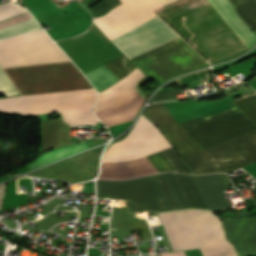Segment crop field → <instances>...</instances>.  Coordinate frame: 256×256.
Instances as JSON below:
<instances>
[{
    "mask_svg": "<svg viewBox=\"0 0 256 256\" xmlns=\"http://www.w3.org/2000/svg\"><path fill=\"white\" fill-rule=\"evenodd\" d=\"M42 152L68 144V130L71 128L62 120L42 122Z\"/></svg>",
    "mask_w": 256,
    "mask_h": 256,
    "instance_id": "cbeb9de0",
    "label": "crop field"
},
{
    "mask_svg": "<svg viewBox=\"0 0 256 256\" xmlns=\"http://www.w3.org/2000/svg\"><path fill=\"white\" fill-rule=\"evenodd\" d=\"M100 154L92 149L29 175L39 178L65 179L70 183L89 180L96 177L98 173Z\"/></svg>",
    "mask_w": 256,
    "mask_h": 256,
    "instance_id": "3316defc",
    "label": "crop field"
},
{
    "mask_svg": "<svg viewBox=\"0 0 256 256\" xmlns=\"http://www.w3.org/2000/svg\"><path fill=\"white\" fill-rule=\"evenodd\" d=\"M86 76L93 83L98 92L119 80L104 65L86 73Z\"/></svg>",
    "mask_w": 256,
    "mask_h": 256,
    "instance_id": "d9b57169",
    "label": "crop field"
},
{
    "mask_svg": "<svg viewBox=\"0 0 256 256\" xmlns=\"http://www.w3.org/2000/svg\"><path fill=\"white\" fill-rule=\"evenodd\" d=\"M178 37L158 16L111 40L128 58Z\"/></svg>",
    "mask_w": 256,
    "mask_h": 256,
    "instance_id": "5a996713",
    "label": "crop field"
},
{
    "mask_svg": "<svg viewBox=\"0 0 256 256\" xmlns=\"http://www.w3.org/2000/svg\"><path fill=\"white\" fill-rule=\"evenodd\" d=\"M142 115L161 129L180 156L200 150L188 133L171 117L164 103L146 107Z\"/></svg>",
    "mask_w": 256,
    "mask_h": 256,
    "instance_id": "28ad6ade",
    "label": "crop field"
},
{
    "mask_svg": "<svg viewBox=\"0 0 256 256\" xmlns=\"http://www.w3.org/2000/svg\"><path fill=\"white\" fill-rule=\"evenodd\" d=\"M119 1L121 5L93 21L110 40L157 16L152 10L163 6L158 0Z\"/></svg>",
    "mask_w": 256,
    "mask_h": 256,
    "instance_id": "d8731c3e",
    "label": "crop field"
},
{
    "mask_svg": "<svg viewBox=\"0 0 256 256\" xmlns=\"http://www.w3.org/2000/svg\"><path fill=\"white\" fill-rule=\"evenodd\" d=\"M209 1L231 26V28L237 33V35L242 39V41L247 45L248 48L256 42V37L235 15L233 11L234 9L232 10L228 0Z\"/></svg>",
    "mask_w": 256,
    "mask_h": 256,
    "instance_id": "22f410ed",
    "label": "crop field"
},
{
    "mask_svg": "<svg viewBox=\"0 0 256 256\" xmlns=\"http://www.w3.org/2000/svg\"><path fill=\"white\" fill-rule=\"evenodd\" d=\"M64 60L69 59L44 31L0 40L1 67ZM70 63L33 64L42 66H17L21 68H10L6 71L18 86L22 95L91 88L86 81L87 79H84V75L71 63L82 76ZM95 97L96 91L94 89L7 97L0 99V111L22 112L27 115L60 111L64 121L71 126L96 124L98 119L92 110Z\"/></svg>",
    "mask_w": 256,
    "mask_h": 256,
    "instance_id": "8a807250",
    "label": "crop field"
},
{
    "mask_svg": "<svg viewBox=\"0 0 256 256\" xmlns=\"http://www.w3.org/2000/svg\"><path fill=\"white\" fill-rule=\"evenodd\" d=\"M223 226L238 256L256 253V217H223Z\"/></svg>",
    "mask_w": 256,
    "mask_h": 256,
    "instance_id": "d1516ede",
    "label": "crop field"
},
{
    "mask_svg": "<svg viewBox=\"0 0 256 256\" xmlns=\"http://www.w3.org/2000/svg\"><path fill=\"white\" fill-rule=\"evenodd\" d=\"M147 158L158 172L191 174L173 147ZM182 158L195 174L231 172L256 161V130Z\"/></svg>",
    "mask_w": 256,
    "mask_h": 256,
    "instance_id": "f4fd0767",
    "label": "crop field"
},
{
    "mask_svg": "<svg viewBox=\"0 0 256 256\" xmlns=\"http://www.w3.org/2000/svg\"><path fill=\"white\" fill-rule=\"evenodd\" d=\"M5 184L0 185V208L2 206V201H3V196H4V192H5Z\"/></svg>",
    "mask_w": 256,
    "mask_h": 256,
    "instance_id": "00972430",
    "label": "crop field"
},
{
    "mask_svg": "<svg viewBox=\"0 0 256 256\" xmlns=\"http://www.w3.org/2000/svg\"><path fill=\"white\" fill-rule=\"evenodd\" d=\"M18 91L15 89L11 81L8 79L6 74L0 68V94L13 95L17 94Z\"/></svg>",
    "mask_w": 256,
    "mask_h": 256,
    "instance_id": "92a150f3",
    "label": "crop field"
},
{
    "mask_svg": "<svg viewBox=\"0 0 256 256\" xmlns=\"http://www.w3.org/2000/svg\"><path fill=\"white\" fill-rule=\"evenodd\" d=\"M158 215L174 250L160 256H186L184 250L195 248H200L203 256H237L211 211L182 209Z\"/></svg>",
    "mask_w": 256,
    "mask_h": 256,
    "instance_id": "412701ff",
    "label": "crop field"
},
{
    "mask_svg": "<svg viewBox=\"0 0 256 256\" xmlns=\"http://www.w3.org/2000/svg\"><path fill=\"white\" fill-rule=\"evenodd\" d=\"M230 181L224 174L189 176L163 173L126 181L97 180V197L130 199L128 211L172 210L183 207L229 208L221 190Z\"/></svg>",
    "mask_w": 256,
    "mask_h": 256,
    "instance_id": "ac0d7876",
    "label": "crop field"
},
{
    "mask_svg": "<svg viewBox=\"0 0 256 256\" xmlns=\"http://www.w3.org/2000/svg\"><path fill=\"white\" fill-rule=\"evenodd\" d=\"M247 83L250 84L256 90V76Z\"/></svg>",
    "mask_w": 256,
    "mask_h": 256,
    "instance_id": "a9b5d70f",
    "label": "crop field"
},
{
    "mask_svg": "<svg viewBox=\"0 0 256 256\" xmlns=\"http://www.w3.org/2000/svg\"><path fill=\"white\" fill-rule=\"evenodd\" d=\"M154 12L207 57L211 65L249 50L208 0H176Z\"/></svg>",
    "mask_w": 256,
    "mask_h": 256,
    "instance_id": "34b2d1b8",
    "label": "crop field"
},
{
    "mask_svg": "<svg viewBox=\"0 0 256 256\" xmlns=\"http://www.w3.org/2000/svg\"><path fill=\"white\" fill-rule=\"evenodd\" d=\"M234 103L256 123V94Z\"/></svg>",
    "mask_w": 256,
    "mask_h": 256,
    "instance_id": "bc2a9ffb",
    "label": "crop field"
},
{
    "mask_svg": "<svg viewBox=\"0 0 256 256\" xmlns=\"http://www.w3.org/2000/svg\"><path fill=\"white\" fill-rule=\"evenodd\" d=\"M144 76L137 68L113 86L99 92L95 113L107 126L133 120L143 99L136 93L137 81Z\"/></svg>",
    "mask_w": 256,
    "mask_h": 256,
    "instance_id": "e52e79f7",
    "label": "crop field"
},
{
    "mask_svg": "<svg viewBox=\"0 0 256 256\" xmlns=\"http://www.w3.org/2000/svg\"><path fill=\"white\" fill-rule=\"evenodd\" d=\"M86 148H88V145L85 142L67 145V146L52 150L48 153L41 155L35 162L27 165V167L30 170H32L34 168L43 166V165H45L49 162H52L54 160L63 158L65 156L71 155V154L79 152V151H82Z\"/></svg>",
    "mask_w": 256,
    "mask_h": 256,
    "instance_id": "5142ce71",
    "label": "crop field"
},
{
    "mask_svg": "<svg viewBox=\"0 0 256 256\" xmlns=\"http://www.w3.org/2000/svg\"><path fill=\"white\" fill-rule=\"evenodd\" d=\"M26 12L22 7H19L8 1L0 5V20L8 19L14 15Z\"/></svg>",
    "mask_w": 256,
    "mask_h": 256,
    "instance_id": "214f88e0",
    "label": "crop field"
},
{
    "mask_svg": "<svg viewBox=\"0 0 256 256\" xmlns=\"http://www.w3.org/2000/svg\"><path fill=\"white\" fill-rule=\"evenodd\" d=\"M110 71H112L119 79L137 68L127 57L121 55L112 61L104 64Z\"/></svg>",
    "mask_w": 256,
    "mask_h": 256,
    "instance_id": "4a817a6b",
    "label": "crop field"
},
{
    "mask_svg": "<svg viewBox=\"0 0 256 256\" xmlns=\"http://www.w3.org/2000/svg\"><path fill=\"white\" fill-rule=\"evenodd\" d=\"M41 27L35 21L34 18L5 27L0 29V38H5L9 36L19 35L35 30H39Z\"/></svg>",
    "mask_w": 256,
    "mask_h": 256,
    "instance_id": "733c2abd",
    "label": "crop field"
},
{
    "mask_svg": "<svg viewBox=\"0 0 256 256\" xmlns=\"http://www.w3.org/2000/svg\"><path fill=\"white\" fill-rule=\"evenodd\" d=\"M175 93H182L181 90L176 91H164V92H158L151 101L160 100V99H169V98H175Z\"/></svg>",
    "mask_w": 256,
    "mask_h": 256,
    "instance_id": "dafd665d",
    "label": "crop field"
},
{
    "mask_svg": "<svg viewBox=\"0 0 256 256\" xmlns=\"http://www.w3.org/2000/svg\"><path fill=\"white\" fill-rule=\"evenodd\" d=\"M170 147L157 128L142 115L128 136L112 145L104 153L102 162L123 161L147 156ZM146 157L102 163L101 175L105 179H130L156 173Z\"/></svg>",
    "mask_w": 256,
    "mask_h": 256,
    "instance_id": "dd49c442",
    "label": "crop field"
}]
</instances>
